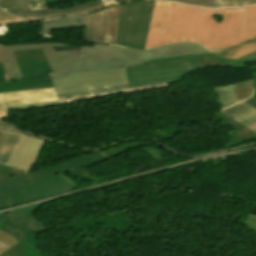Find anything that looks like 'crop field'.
Listing matches in <instances>:
<instances>
[{
  "instance_id": "obj_25",
  "label": "crop field",
  "mask_w": 256,
  "mask_h": 256,
  "mask_svg": "<svg viewBox=\"0 0 256 256\" xmlns=\"http://www.w3.org/2000/svg\"><path fill=\"white\" fill-rule=\"evenodd\" d=\"M139 144L135 143V144H131V145H126V146H120V147H115V148H111L109 150L106 151H102L100 152L102 155H104L107 159L115 156L123 151H127L130 148H134L137 147Z\"/></svg>"
},
{
  "instance_id": "obj_14",
  "label": "crop field",
  "mask_w": 256,
  "mask_h": 256,
  "mask_svg": "<svg viewBox=\"0 0 256 256\" xmlns=\"http://www.w3.org/2000/svg\"><path fill=\"white\" fill-rule=\"evenodd\" d=\"M167 85L166 81L163 82H155V83H146V84H132V85H123V86H107V87H95L89 88L90 91L86 92H78V93H71V94H63L59 95L61 103H67L87 97L93 96H101V95H108L113 93H120V92H128L134 90H141V89H148L154 87H160Z\"/></svg>"
},
{
  "instance_id": "obj_15",
  "label": "crop field",
  "mask_w": 256,
  "mask_h": 256,
  "mask_svg": "<svg viewBox=\"0 0 256 256\" xmlns=\"http://www.w3.org/2000/svg\"><path fill=\"white\" fill-rule=\"evenodd\" d=\"M247 104L242 101L220 112L256 133V110Z\"/></svg>"
},
{
  "instance_id": "obj_11",
  "label": "crop field",
  "mask_w": 256,
  "mask_h": 256,
  "mask_svg": "<svg viewBox=\"0 0 256 256\" xmlns=\"http://www.w3.org/2000/svg\"><path fill=\"white\" fill-rule=\"evenodd\" d=\"M103 7L99 0H93L90 2H86L77 6H73L67 9H41V10H33L30 11L28 6L12 8L5 10L10 14L17 15L21 18H25L27 21H36L43 19H51L62 16H69L84 13L87 11H91L95 8Z\"/></svg>"
},
{
  "instance_id": "obj_24",
  "label": "crop field",
  "mask_w": 256,
  "mask_h": 256,
  "mask_svg": "<svg viewBox=\"0 0 256 256\" xmlns=\"http://www.w3.org/2000/svg\"><path fill=\"white\" fill-rule=\"evenodd\" d=\"M171 1L186 3L190 5H195V6L211 7V8H214L215 6H217L216 0H171Z\"/></svg>"
},
{
  "instance_id": "obj_3",
  "label": "crop field",
  "mask_w": 256,
  "mask_h": 256,
  "mask_svg": "<svg viewBox=\"0 0 256 256\" xmlns=\"http://www.w3.org/2000/svg\"><path fill=\"white\" fill-rule=\"evenodd\" d=\"M72 191L59 176L33 182L17 169L0 165V208L11 207Z\"/></svg>"
},
{
  "instance_id": "obj_1",
  "label": "crop field",
  "mask_w": 256,
  "mask_h": 256,
  "mask_svg": "<svg viewBox=\"0 0 256 256\" xmlns=\"http://www.w3.org/2000/svg\"><path fill=\"white\" fill-rule=\"evenodd\" d=\"M182 42L233 59L256 51V5L206 9L155 0L145 50Z\"/></svg>"
},
{
  "instance_id": "obj_10",
  "label": "crop field",
  "mask_w": 256,
  "mask_h": 256,
  "mask_svg": "<svg viewBox=\"0 0 256 256\" xmlns=\"http://www.w3.org/2000/svg\"><path fill=\"white\" fill-rule=\"evenodd\" d=\"M106 158L103 157L99 152L93 153L87 156H80L78 158L72 159L65 163L44 169L38 170L34 172L28 173L30 179L34 181H39L42 179L49 178L55 174L63 173L69 170L72 174L80 177L81 179L93 181V182H100L96 180L91 174H89L84 167L90 166L94 163H99Z\"/></svg>"
},
{
  "instance_id": "obj_23",
  "label": "crop field",
  "mask_w": 256,
  "mask_h": 256,
  "mask_svg": "<svg viewBox=\"0 0 256 256\" xmlns=\"http://www.w3.org/2000/svg\"><path fill=\"white\" fill-rule=\"evenodd\" d=\"M18 243L12 236L0 230V254Z\"/></svg>"
},
{
  "instance_id": "obj_20",
  "label": "crop field",
  "mask_w": 256,
  "mask_h": 256,
  "mask_svg": "<svg viewBox=\"0 0 256 256\" xmlns=\"http://www.w3.org/2000/svg\"><path fill=\"white\" fill-rule=\"evenodd\" d=\"M29 5L30 9L47 8L44 0H0V7L3 9Z\"/></svg>"
},
{
  "instance_id": "obj_22",
  "label": "crop field",
  "mask_w": 256,
  "mask_h": 256,
  "mask_svg": "<svg viewBox=\"0 0 256 256\" xmlns=\"http://www.w3.org/2000/svg\"><path fill=\"white\" fill-rule=\"evenodd\" d=\"M215 89L218 94L222 109L236 103L231 85Z\"/></svg>"
},
{
  "instance_id": "obj_17",
  "label": "crop field",
  "mask_w": 256,
  "mask_h": 256,
  "mask_svg": "<svg viewBox=\"0 0 256 256\" xmlns=\"http://www.w3.org/2000/svg\"><path fill=\"white\" fill-rule=\"evenodd\" d=\"M85 14L50 21H41L42 34L52 36L51 29H71L84 26Z\"/></svg>"
},
{
  "instance_id": "obj_19",
  "label": "crop field",
  "mask_w": 256,
  "mask_h": 256,
  "mask_svg": "<svg viewBox=\"0 0 256 256\" xmlns=\"http://www.w3.org/2000/svg\"><path fill=\"white\" fill-rule=\"evenodd\" d=\"M22 135L0 130V164L6 165Z\"/></svg>"
},
{
  "instance_id": "obj_2",
  "label": "crop field",
  "mask_w": 256,
  "mask_h": 256,
  "mask_svg": "<svg viewBox=\"0 0 256 256\" xmlns=\"http://www.w3.org/2000/svg\"><path fill=\"white\" fill-rule=\"evenodd\" d=\"M87 71L75 72L52 80L57 94L86 91L88 87L127 83L126 66H136L150 59L208 53L195 43H182L152 50H136L95 43L80 47Z\"/></svg>"
},
{
  "instance_id": "obj_30",
  "label": "crop field",
  "mask_w": 256,
  "mask_h": 256,
  "mask_svg": "<svg viewBox=\"0 0 256 256\" xmlns=\"http://www.w3.org/2000/svg\"><path fill=\"white\" fill-rule=\"evenodd\" d=\"M0 83H9L7 80V75L1 65V62H0Z\"/></svg>"
},
{
  "instance_id": "obj_7",
  "label": "crop field",
  "mask_w": 256,
  "mask_h": 256,
  "mask_svg": "<svg viewBox=\"0 0 256 256\" xmlns=\"http://www.w3.org/2000/svg\"><path fill=\"white\" fill-rule=\"evenodd\" d=\"M198 69L200 66L196 55L155 59L136 67H127L128 83L167 80L172 84Z\"/></svg>"
},
{
  "instance_id": "obj_5",
  "label": "crop field",
  "mask_w": 256,
  "mask_h": 256,
  "mask_svg": "<svg viewBox=\"0 0 256 256\" xmlns=\"http://www.w3.org/2000/svg\"><path fill=\"white\" fill-rule=\"evenodd\" d=\"M154 0L119 5L115 45L144 50Z\"/></svg>"
},
{
  "instance_id": "obj_31",
  "label": "crop field",
  "mask_w": 256,
  "mask_h": 256,
  "mask_svg": "<svg viewBox=\"0 0 256 256\" xmlns=\"http://www.w3.org/2000/svg\"><path fill=\"white\" fill-rule=\"evenodd\" d=\"M238 5L240 6V4L243 5H249V4H255L256 0H237Z\"/></svg>"
},
{
  "instance_id": "obj_4",
  "label": "crop field",
  "mask_w": 256,
  "mask_h": 256,
  "mask_svg": "<svg viewBox=\"0 0 256 256\" xmlns=\"http://www.w3.org/2000/svg\"><path fill=\"white\" fill-rule=\"evenodd\" d=\"M66 46L64 43H35L12 46L0 45V60L8 78L21 76L11 51L41 48L52 72L50 76L57 77L75 71L85 70L80 49L58 51L54 47Z\"/></svg>"
},
{
  "instance_id": "obj_13",
  "label": "crop field",
  "mask_w": 256,
  "mask_h": 256,
  "mask_svg": "<svg viewBox=\"0 0 256 256\" xmlns=\"http://www.w3.org/2000/svg\"><path fill=\"white\" fill-rule=\"evenodd\" d=\"M43 141L42 139L23 135L7 165L29 172L36 160Z\"/></svg>"
},
{
  "instance_id": "obj_8",
  "label": "crop field",
  "mask_w": 256,
  "mask_h": 256,
  "mask_svg": "<svg viewBox=\"0 0 256 256\" xmlns=\"http://www.w3.org/2000/svg\"><path fill=\"white\" fill-rule=\"evenodd\" d=\"M23 75L9 79L10 84H0V92L20 91L53 87L48 72H51L40 49L13 52Z\"/></svg>"
},
{
  "instance_id": "obj_32",
  "label": "crop field",
  "mask_w": 256,
  "mask_h": 256,
  "mask_svg": "<svg viewBox=\"0 0 256 256\" xmlns=\"http://www.w3.org/2000/svg\"><path fill=\"white\" fill-rule=\"evenodd\" d=\"M0 126L1 127H5V128H9V129H15L16 128V126H13V125H11L9 123H5L3 121H0Z\"/></svg>"
},
{
  "instance_id": "obj_21",
  "label": "crop field",
  "mask_w": 256,
  "mask_h": 256,
  "mask_svg": "<svg viewBox=\"0 0 256 256\" xmlns=\"http://www.w3.org/2000/svg\"><path fill=\"white\" fill-rule=\"evenodd\" d=\"M232 86H233L237 103L252 96V91H253L252 80L240 82Z\"/></svg>"
},
{
  "instance_id": "obj_34",
  "label": "crop field",
  "mask_w": 256,
  "mask_h": 256,
  "mask_svg": "<svg viewBox=\"0 0 256 256\" xmlns=\"http://www.w3.org/2000/svg\"><path fill=\"white\" fill-rule=\"evenodd\" d=\"M116 3H122V2H126V1H131V0H114Z\"/></svg>"
},
{
  "instance_id": "obj_28",
  "label": "crop field",
  "mask_w": 256,
  "mask_h": 256,
  "mask_svg": "<svg viewBox=\"0 0 256 256\" xmlns=\"http://www.w3.org/2000/svg\"><path fill=\"white\" fill-rule=\"evenodd\" d=\"M253 82H254V88H255L254 96L252 98L248 99L246 101V103H248L252 107L256 108V74L254 71H253Z\"/></svg>"
},
{
  "instance_id": "obj_35",
  "label": "crop field",
  "mask_w": 256,
  "mask_h": 256,
  "mask_svg": "<svg viewBox=\"0 0 256 256\" xmlns=\"http://www.w3.org/2000/svg\"><path fill=\"white\" fill-rule=\"evenodd\" d=\"M56 1H59V0H45L46 4L56 2Z\"/></svg>"
},
{
  "instance_id": "obj_16",
  "label": "crop field",
  "mask_w": 256,
  "mask_h": 256,
  "mask_svg": "<svg viewBox=\"0 0 256 256\" xmlns=\"http://www.w3.org/2000/svg\"><path fill=\"white\" fill-rule=\"evenodd\" d=\"M201 68L208 66H222V67H242L246 63L256 61V52L250 53L238 60L218 57L209 54L197 55Z\"/></svg>"
},
{
  "instance_id": "obj_12",
  "label": "crop field",
  "mask_w": 256,
  "mask_h": 256,
  "mask_svg": "<svg viewBox=\"0 0 256 256\" xmlns=\"http://www.w3.org/2000/svg\"><path fill=\"white\" fill-rule=\"evenodd\" d=\"M58 99L54 88L0 93V117L6 115L7 111L5 106L7 105L36 103Z\"/></svg>"
},
{
  "instance_id": "obj_27",
  "label": "crop field",
  "mask_w": 256,
  "mask_h": 256,
  "mask_svg": "<svg viewBox=\"0 0 256 256\" xmlns=\"http://www.w3.org/2000/svg\"><path fill=\"white\" fill-rule=\"evenodd\" d=\"M55 104H60V102L59 101H50V102H43V103H37V104L8 106L7 110L40 107V106H48V105H55Z\"/></svg>"
},
{
  "instance_id": "obj_6",
  "label": "crop field",
  "mask_w": 256,
  "mask_h": 256,
  "mask_svg": "<svg viewBox=\"0 0 256 256\" xmlns=\"http://www.w3.org/2000/svg\"><path fill=\"white\" fill-rule=\"evenodd\" d=\"M41 205L0 216V229L11 234L19 243L0 256H41L36 234L47 230L31 214Z\"/></svg>"
},
{
  "instance_id": "obj_33",
  "label": "crop field",
  "mask_w": 256,
  "mask_h": 256,
  "mask_svg": "<svg viewBox=\"0 0 256 256\" xmlns=\"http://www.w3.org/2000/svg\"><path fill=\"white\" fill-rule=\"evenodd\" d=\"M103 6L112 5L114 4L113 0H100Z\"/></svg>"
},
{
  "instance_id": "obj_18",
  "label": "crop field",
  "mask_w": 256,
  "mask_h": 256,
  "mask_svg": "<svg viewBox=\"0 0 256 256\" xmlns=\"http://www.w3.org/2000/svg\"><path fill=\"white\" fill-rule=\"evenodd\" d=\"M216 116L223 121L222 126H225L228 124L235 129L234 131H231L229 133V137L231 138V141H229L226 144V147L230 146L232 144L256 139L255 133H253L252 131L248 130L247 128L241 126L240 124L234 122L233 120L229 119L228 117L224 116L223 114L217 112Z\"/></svg>"
},
{
  "instance_id": "obj_29",
  "label": "crop field",
  "mask_w": 256,
  "mask_h": 256,
  "mask_svg": "<svg viewBox=\"0 0 256 256\" xmlns=\"http://www.w3.org/2000/svg\"><path fill=\"white\" fill-rule=\"evenodd\" d=\"M219 7L238 6L236 0H217Z\"/></svg>"
},
{
  "instance_id": "obj_9",
  "label": "crop field",
  "mask_w": 256,
  "mask_h": 256,
  "mask_svg": "<svg viewBox=\"0 0 256 256\" xmlns=\"http://www.w3.org/2000/svg\"><path fill=\"white\" fill-rule=\"evenodd\" d=\"M118 5L86 14L84 39L114 45Z\"/></svg>"
},
{
  "instance_id": "obj_26",
  "label": "crop field",
  "mask_w": 256,
  "mask_h": 256,
  "mask_svg": "<svg viewBox=\"0 0 256 256\" xmlns=\"http://www.w3.org/2000/svg\"><path fill=\"white\" fill-rule=\"evenodd\" d=\"M19 22H25V20L9 15L7 13H4L0 9V24H12V23H19Z\"/></svg>"
}]
</instances>
